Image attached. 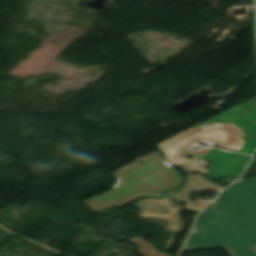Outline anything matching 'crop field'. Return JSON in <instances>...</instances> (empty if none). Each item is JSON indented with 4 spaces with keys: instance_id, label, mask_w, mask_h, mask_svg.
I'll use <instances>...</instances> for the list:
<instances>
[{
    "instance_id": "crop-field-1",
    "label": "crop field",
    "mask_w": 256,
    "mask_h": 256,
    "mask_svg": "<svg viewBox=\"0 0 256 256\" xmlns=\"http://www.w3.org/2000/svg\"><path fill=\"white\" fill-rule=\"evenodd\" d=\"M144 159L150 161L144 167L130 163L114 172L118 179L116 186L101 196L86 200V204L94 211L108 207H121L143 196L164 197L163 191L176 188L183 183L182 178L164 160L153 156H147ZM146 178L148 180L144 181ZM149 181L152 184H149ZM135 185L141 186L144 190L141 193L134 192L137 189ZM163 185L166 186L163 187ZM104 199L109 201H102Z\"/></svg>"
},
{
    "instance_id": "crop-field-2",
    "label": "crop field",
    "mask_w": 256,
    "mask_h": 256,
    "mask_svg": "<svg viewBox=\"0 0 256 256\" xmlns=\"http://www.w3.org/2000/svg\"><path fill=\"white\" fill-rule=\"evenodd\" d=\"M207 225L203 238H196L199 228ZM191 235L195 242L185 250L223 246L232 256H256V252L250 250L256 245V229L232 215L212 209V204L201 213Z\"/></svg>"
},
{
    "instance_id": "crop-field-3",
    "label": "crop field",
    "mask_w": 256,
    "mask_h": 256,
    "mask_svg": "<svg viewBox=\"0 0 256 256\" xmlns=\"http://www.w3.org/2000/svg\"><path fill=\"white\" fill-rule=\"evenodd\" d=\"M242 136L241 130L232 123L210 122L202 127L190 128L157 146L165 153V158L175 165L189 160L181 156L186 154L188 147L198 140L239 152L244 142Z\"/></svg>"
},
{
    "instance_id": "crop-field-4",
    "label": "crop field",
    "mask_w": 256,
    "mask_h": 256,
    "mask_svg": "<svg viewBox=\"0 0 256 256\" xmlns=\"http://www.w3.org/2000/svg\"><path fill=\"white\" fill-rule=\"evenodd\" d=\"M214 153H218V155H214ZM222 156V158L220 157ZM250 156L234 154L223 150H217L211 148L204 156H199L183 165L186 167L185 171L193 172L198 171L200 173H204L197 169L192 162L205 159L212 161V165L209 171L206 173L213 178H226V177H238L246 167L247 163L250 160Z\"/></svg>"
},
{
    "instance_id": "crop-field-5",
    "label": "crop field",
    "mask_w": 256,
    "mask_h": 256,
    "mask_svg": "<svg viewBox=\"0 0 256 256\" xmlns=\"http://www.w3.org/2000/svg\"><path fill=\"white\" fill-rule=\"evenodd\" d=\"M249 182L229 187L221 196L256 214V177Z\"/></svg>"
},
{
    "instance_id": "crop-field-6",
    "label": "crop field",
    "mask_w": 256,
    "mask_h": 256,
    "mask_svg": "<svg viewBox=\"0 0 256 256\" xmlns=\"http://www.w3.org/2000/svg\"><path fill=\"white\" fill-rule=\"evenodd\" d=\"M245 112L238 117L233 123L245 130L249 138L243 145L241 153H256V97L250 98L244 104Z\"/></svg>"
},
{
    "instance_id": "crop-field-7",
    "label": "crop field",
    "mask_w": 256,
    "mask_h": 256,
    "mask_svg": "<svg viewBox=\"0 0 256 256\" xmlns=\"http://www.w3.org/2000/svg\"><path fill=\"white\" fill-rule=\"evenodd\" d=\"M215 208L234 214L256 227V215L224 200L221 196L216 197Z\"/></svg>"
},
{
    "instance_id": "crop-field-8",
    "label": "crop field",
    "mask_w": 256,
    "mask_h": 256,
    "mask_svg": "<svg viewBox=\"0 0 256 256\" xmlns=\"http://www.w3.org/2000/svg\"><path fill=\"white\" fill-rule=\"evenodd\" d=\"M243 112H244L243 104L242 105H238V106H235V107L227 110L226 112H224V113H222V114H220V115L210 119V120H207V121H205L203 123H200V124H197L195 126H202L205 123L210 122V121L230 123L233 120H235L238 116H240Z\"/></svg>"
},
{
    "instance_id": "crop-field-9",
    "label": "crop field",
    "mask_w": 256,
    "mask_h": 256,
    "mask_svg": "<svg viewBox=\"0 0 256 256\" xmlns=\"http://www.w3.org/2000/svg\"><path fill=\"white\" fill-rule=\"evenodd\" d=\"M193 192V190L191 189H185L183 191H180V192H177L174 197L186 202L184 207L186 208H189V209H192V210H197L199 211L207 202L208 200H201V201H197L200 203V206L199 207H194L191 202H188V196L189 194ZM194 202V201H193Z\"/></svg>"
},
{
    "instance_id": "crop-field-10",
    "label": "crop field",
    "mask_w": 256,
    "mask_h": 256,
    "mask_svg": "<svg viewBox=\"0 0 256 256\" xmlns=\"http://www.w3.org/2000/svg\"><path fill=\"white\" fill-rule=\"evenodd\" d=\"M206 227H204V228H201L200 230H199V232H198V234H197V237H202L203 236V234H204V232H205V229Z\"/></svg>"
},
{
    "instance_id": "crop-field-11",
    "label": "crop field",
    "mask_w": 256,
    "mask_h": 256,
    "mask_svg": "<svg viewBox=\"0 0 256 256\" xmlns=\"http://www.w3.org/2000/svg\"><path fill=\"white\" fill-rule=\"evenodd\" d=\"M193 241H194V240H192L191 237H190L189 242H193ZM189 242H188V243H189Z\"/></svg>"
}]
</instances>
